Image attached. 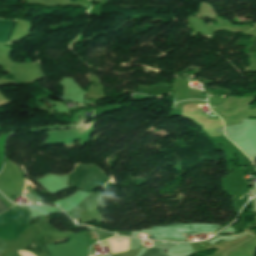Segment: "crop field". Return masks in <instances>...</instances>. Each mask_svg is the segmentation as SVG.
<instances>
[{
	"label": "crop field",
	"instance_id": "crop-field-1",
	"mask_svg": "<svg viewBox=\"0 0 256 256\" xmlns=\"http://www.w3.org/2000/svg\"><path fill=\"white\" fill-rule=\"evenodd\" d=\"M220 225L216 224H182L151 228L152 239L187 241L182 234L213 233Z\"/></svg>",
	"mask_w": 256,
	"mask_h": 256
},
{
	"label": "crop field",
	"instance_id": "crop-field-2",
	"mask_svg": "<svg viewBox=\"0 0 256 256\" xmlns=\"http://www.w3.org/2000/svg\"><path fill=\"white\" fill-rule=\"evenodd\" d=\"M47 220L42 221L32 242L22 250L30 251L36 256H51L46 244L67 240L68 234L52 228Z\"/></svg>",
	"mask_w": 256,
	"mask_h": 256
},
{
	"label": "crop field",
	"instance_id": "crop-field-3",
	"mask_svg": "<svg viewBox=\"0 0 256 256\" xmlns=\"http://www.w3.org/2000/svg\"><path fill=\"white\" fill-rule=\"evenodd\" d=\"M107 179L105 174L94 166L77 165L75 171L70 173L69 183L91 192Z\"/></svg>",
	"mask_w": 256,
	"mask_h": 256
},
{
	"label": "crop field",
	"instance_id": "crop-field-4",
	"mask_svg": "<svg viewBox=\"0 0 256 256\" xmlns=\"http://www.w3.org/2000/svg\"><path fill=\"white\" fill-rule=\"evenodd\" d=\"M16 21H5L0 19V42H7Z\"/></svg>",
	"mask_w": 256,
	"mask_h": 256
},
{
	"label": "crop field",
	"instance_id": "crop-field-5",
	"mask_svg": "<svg viewBox=\"0 0 256 256\" xmlns=\"http://www.w3.org/2000/svg\"><path fill=\"white\" fill-rule=\"evenodd\" d=\"M143 256H165L162 250L149 249Z\"/></svg>",
	"mask_w": 256,
	"mask_h": 256
},
{
	"label": "crop field",
	"instance_id": "crop-field-6",
	"mask_svg": "<svg viewBox=\"0 0 256 256\" xmlns=\"http://www.w3.org/2000/svg\"><path fill=\"white\" fill-rule=\"evenodd\" d=\"M6 206L0 201V213L7 211Z\"/></svg>",
	"mask_w": 256,
	"mask_h": 256
},
{
	"label": "crop field",
	"instance_id": "crop-field-7",
	"mask_svg": "<svg viewBox=\"0 0 256 256\" xmlns=\"http://www.w3.org/2000/svg\"><path fill=\"white\" fill-rule=\"evenodd\" d=\"M253 165L256 167V158L253 159Z\"/></svg>",
	"mask_w": 256,
	"mask_h": 256
},
{
	"label": "crop field",
	"instance_id": "crop-field-8",
	"mask_svg": "<svg viewBox=\"0 0 256 256\" xmlns=\"http://www.w3.org/2000/svg\"><path fill=\"white\" fill-rule=\"evenodd\" d=\"M214 108V107H213Z\"/></svg>",
	"mask_w": 256,
	"mask_h": 256
}]
</instances>
